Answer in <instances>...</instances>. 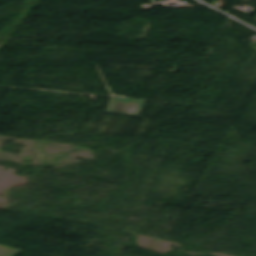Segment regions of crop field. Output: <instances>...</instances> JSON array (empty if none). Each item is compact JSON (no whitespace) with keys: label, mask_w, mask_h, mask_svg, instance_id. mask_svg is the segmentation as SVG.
<instances>
[{"label":"crop field","mask_w":256,"mask_h":256,"mask_svg":"<svg viewBox=\"0 0 256 256\" xmlns=\"http://www.w3.org/2000/svg\"><path fill=\"white\" fill-rule=\"evenodd\" d=\"M21 250L5 247L0 245V256H13Z\"/></svg>","instance_id":"crop-field-2"},{"label":"crop field","mask_w":256,"mask_h":256,"mask_svg":"<svg viewBox=\"0 0 256 256\" xmlns=\"http://www.w3.org/2000/svg\"><path fill=\"white\" fill-rule=\"evenodd\" d=\"M145 101L112 97L105 113L139 116Z\"/></svg>","instance_id":"crop-field-1"}]
</instances>
